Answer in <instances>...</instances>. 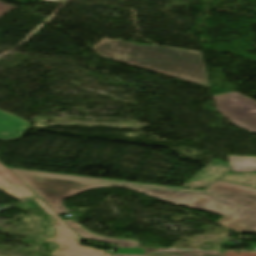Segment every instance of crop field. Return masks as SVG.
Masks as SVG:
<instances>
[{"instance_id": "1", "label": "crop field", "mask_w": 256, "mask_h": 256, "mask_svg": "<svg viewBox=\"0 0 256 256\" xmlns=\"http://www.w3.org/2000/svg\"><path fill=\"white\" fill-rule=\"evenodd\" d=\"M10 170L57 214L68 212L61 204L65 198L93 188L122 186L166 203L225 216L216 223L238 232L256 233V189L254 188L218 181L205 191H197L18 169ZM217 206L221 207L216 208Z\"/></svg>"}, {"instance_id": "2", "label": "crop field", "mask_w": 256, "mask_h": 256, "mask_svg": "<svg viewBox=\"0 0 256 256\" xmlns=\"http://www.w3.org/2000/svg\"><path fill=\"white\" fill-rule=\"evenodd\" d=\"M92 49L112 60L210 87L200 52L106 38Z\"/></svg>"}, {"instance_id": "3", "label": "crop field", "mask_w": 256, "mask_h": 256, "mask_svg": "<svg viewBox=\"0 0 256 256\" xmlns=\"http://www.w3.org/2000/svg\"><path fill=\"white\" fill-rule=\"evenodd\" d=\"M36 204L43 209L56 233L44 242L58 245L51 256H113L114 254H105L106 251L88 248L79 245L82 238L77 235L57 214L39 197L34 199Z\"/></svg>"}, {"instance_id": "4", "label": "crop field", "mask_w": 256, "mask_h": 256, "mask_svg": "<svg viewBox=\"0 0 256 256\" xmlns=\"http://www.w3.org/2000/svg\"><path fill=\"white\" fill-rule=\"evenodd\" d=\"M217 111L231 123L256 134V101L236 92L213 96Z\"/></svg>"}, {"instance_id": "5", "label": "crop field", "mask_w": 256, "mask_h": 256, "mask_svg": "<svg viewBox=\"0 0 256 256\" xmlns=\"http://www.w3.org/2000/svg\"><path fill=\"white\" fill-rule=\"evenodd\" d=\"M0 188L13 198H33L37 195L31 191L16 175L0 163Z\"/></svg>"}, {"instance_id": "6", "label": "crop field", "mask_w": 256, "mask_h": 256, "mask_svg": "<svg viewBox=\"0 0 256 256\" xmlns=\"http://www.w3.org/2000/svg\"><path fill=\"white\" fill-rule=\"evenodd\" d=\"M30 123L0 110V140H16L29 128Z\"/></svg>"}, {"instance_id": "7", "label": "crop field", "mask_w": 256, "mask_h": 256, "mask_svg": "<svg viewBox=\"0 0 256 256\" xmlns=\"http://www.w3.org/2000/svg\"><path fill=\"white\" fill-rule=\"evenodd\" d=\"M77 234L86 239L98 240L101 242H106L110 244H119V247H130V248H138L139 242L133 240H120V239H111L106 237H100L95 234H92L81 227L79 224L74 222L73 220H64Z\"/></svg>"}, {"instance_id": "8", "label": "crop field", "mask_w": 256, "mask_h": 256, "mask_svg": "<svg viewBox=\"0 0 256 256\" xmlns=\"http://www.w3.org/2000/svg\"><path fill=\"white\" fill-rule=\"evenodd\" d=\"M233 171L256 170V157L228 156Z\"/></svg>"}, {"instance_id": "9", "label": "crop field", "mask_w": 256, "mask_h": 256, "mask_svg": "<svg viewBox=\"0 0 256 256\" xmlns=\"http://www.w3.org/2000/svg\"><path fill=\"white\" fill-rule=\"evenodd\" d=\"M221 180L250 185L256 187V172L251 173H229Z\"/></svg>"}, {"instance_id": "10", "label": "crop field", "mask_w": 256, "mask_h": 256, "mask_svg": "<svg viewBox=\"0 0 256 256\" xmlns=\"http://www.w3.org/2000/svg\"><path fill=\"white\" fill-rule=\"evenodd\" d=\"M116 254H144L142 249L120 248Z\"/></svg>"}, {"instance_id": "11", "label": "crop field", "mask_w": 256, "mask_h": 256, "mask_svg": "<svg viewBox=\"0 0 256 256\" xmlns=\"http://www.w3.org/2000/svg\"><path fill=\"white\" fill-rule=\"evenodd\" d=\"M16 8L15 6L0 1V16Z\"/></svg>"}, {"instance_id": "12", "label": "crop field", "mask_w": 256, "mask_h": 256, "mask_svg": "<svg viewBox=\"0 0 256 256\" xmlns=\"http://www.w3.org/2000/svg\"><path fill=\"white\" fill-rule=\"evenodd\" d=\"M120 256H125V255H120Z\"/></svg>"}]
</instances>
